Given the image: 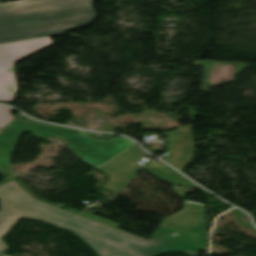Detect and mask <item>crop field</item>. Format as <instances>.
<instances>
[{"instance_id": "obj_4", "label": "crop field", "mask_w": 256, "mask_h": 256, "mask_svg": "<svg viewBox=\"0 0 256 256\" xmlns=\"http://www.w3.org/2000/svg\"><path fill=\"white\" fill-rule=\"evenodd\" d=\"M151 239L206 251V205L184 200V209L163 219Z\"/></svg>"}, {"instance_id": "obj_6", "label": "crop field", "mask_w": 256, "mask_h": 256, "mask_svg": "<svg viewBox=\"0 0 256 256\" xmlns=\"http://www.w3.org/2000/svg\"><path fill=\"white\" fill-rule=\"evenodd\" d=\"M141 169L158 176L159 178L167 181L168 183L180 185V186L198 188L192 183L188 182L189 180L187 181L186 179H184L182 176H180L178 173H176L174 170H172L170 167H168L162 162L150 161L147 164H145Z\"/></svg>"}, {"instance_id": "obj_11", "label": "crop field", "mask_w": 256, "mask_h": 256, "mask_svg": "<svg viewBox=\"0 0 256 256\" xmlns=\"http://www.w3.org/2000/svg\"><path fill=\"white\" fill-rule=\"evenodd\" d=\"M0 132H1V130H0Z\"/></svg>"}, {"instance_id": "obj_9", "label": "crop field", "mask_w": 256, "mask_h": 256, "mask_svg": "<svg viewBox=\"0 0 256 256\" xmlns=\"http://www.w3.org/2000/svg\"><path fill=\"white\" fill-rule=\"evenodd\" d=\"M2 256H8V255L3 254Z\"/></svg>"}, {"instance_id": "obj_1", "label": "crop field", "mask_w": 256, "mask_h": 256, "mask_svg": "<svg viewBox=\"0 0 256 256\" xmlns=\"http://www.w3.org/2000/svg\"><path fill=\"white\" fill-rule=\"evenodd\" d=\"M0 209V252L9 249L2 237L23 218L67 229L81 237L99 256H160L172 251L189 255L198 253L189 248L147 241L50 205L34 198L15 180L0 185Z\"/></svg>"}, {"instance_id": "obj_2", "label": "crop field", "mask_w": 256, "mask_h": 256, "mask_svg": "<svg viewBox=\"0 0 256 256\" xmlns=\"http://www.w3.org/2000/svg\"><path fill=\"white\" fill-rule=\"evenodd\" d=\"M92 0H21L0 4V43L86 26L95 19Z\"/></svg>"}, {"instance_id": "obj_7", "label": "crop field", "mask_w": 256, "mask_h": 256, "mask_svg": "<svg viewBox=\"0 0 256 256\" xmlns=\"http://www.w3.org/2000/svg\"><path fill=\"white\" fill-rule=\"evenodd\" d=\"M14 110L0 106V128L4 129L15 117L11 114Z\"/></svg>"}, {"instance_id": "obj_10", "label": "crop field", "mask_w": 256, "mask_h": 256, "mask_svg": "<svg viewBox=\"0 0 256 256\" xmlns=\"http://www.w3.org/2000/svg\"><path fill=\"white\" fill-rule=\"evenodd\" d=\"M2 255V253H0V256Z\"/></svg>"}, {"instance_id": "obj_5", "label": "crop field", "mask_w": 256, "mask_h": 256, "mask_svg": "<svg viewBox=\"0 0 256 256\" xmlns=\"http://www.w3.org/2000/svg\"><path fill=\"white\" fill-rule=\"evenodd\" d=\"M52 43L48 37L0 45V101L12 102L18 90L14 62Z\"/></svg>"}, {"instance_id": "obj_3", "label": "crop field", "mask_w": 256, "mask_h": 256, "mask_svg": "<svg viewBox=\"0 0 256 256\" xmlns=\"http://www.w3.org/2000/svg\"><path fill=\"white\" fill-rule=\"evenodd\" d=\"M22 132H30L41 139H46L50 136L60 137L65 140L69 149L97 169L134 145V143L125 138L113 137L108 142H105L86 137L82 135V131L15 119L0 134V173L5 179L14 176L10 170V158Z\"/></svg>"}, {"instance_id": "obj_8", "label": "crop field", "mask_w": 256, "mask_h": 256, "mask_svg": "<svg viewBox=\"0 0 256 256\" xmlns=\"http://www.w3.org/2000/svg\"><path fill=\"white\" fill-rule=\"evenodd\" d=\"M84 213H85V212H84ZM82 216H85V217H87V218L93 219V220H95V221L101 222V223H103V224L109 225V226L114 227V228H116V227L119 226V225H117V224H114V223H112V222L103 220V219L98 218V217H95V216H92V215L87 214V213L83 214Z\"/></svg>"}]
</instances>
